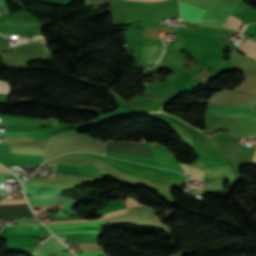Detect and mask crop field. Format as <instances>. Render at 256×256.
<instances>
[{"label": "crop field", "instance_id": "obj_22", "mask_svg": "<svg viewBox=\"0 0 256 256\" xmlns=\"http://www.w3.org/2000/svg\"><path fill=\"white\" fill-rule=\"evenodd\" d=\"M142 1H158V0H142Z\"/></svg>", "mask_w": 256, "mask_h": 256}, {"label": "crop field", "instance_id": "obj_12", "mask_svg": "<svg viewBox=\"0 0 256 256\" xmlns=\"http://www.w3.org/2000/svg\"><path fill=\"white\" fill-rule=\"evenodd\" d=\"M30 206H40V205H54L56 204L55 198L45 197V198H32L27 199Z\"/></svg>", "mask_w": 256, "mask_h": 256}, {"label": "crop field", "instance_id": "obj_11", "mask_svg": "<svg viewBox=\"0 0 256 256\" xmlns=\"http://www.w3.org/2000/svg\"><path fill=\"white\" fill-rule=\"evenodd\" d=\"M54 172L81 177L80 168L75 166L56 164Z\"/></svg>", "mask_w": 256, "mask_h": 256}, {"label": "crop field", "instance_id": "obj_3", "mask_svg": "<svg viewBox=\"0 0 256 256\" xmlns=\"http://www.w3.org/2000/svg\"><path fill=\"white\" fill-rule=\"evenodd\" d=\"M145 38V46L143 49L140 67H153L156 65L158 59L163 52L162 39Z\"/></svg>", "mask_w": 256, "mask_h": 256}, {"label": "crop field", "instance_id": "obj_13", "mask_svg": "<svg viewBox=\"0 0 256 256\" xmlns=\"http://www.w3.org/2000/svg\"><path fill=\"white\" fill-rule=\"evenodd\" d=\"M244 52L256 57V42L246 39L239 46Z\"/></svg>", "mask_w": 256, "mask_h": 256}, {"label": "crop field", "instance_id": "obj_16", "mask_svg": "<svg viewBox=\"0 0 256 256\" xmlns=\"http://www.w3.org/2000/svg\"><path fill=\"white\" fill-rule=\"evenodd\" d=\"M35 131L32 132H0V137H6V136H27L31 133H33Z\"/></svg>", "mask_w": 256, "mask_h": 256}, {"label": "crop field", "instance_id": "obj_8", "mask_svg": "<svg viewBox=\"0 0 256 256\" xmlns=\"http://www.w3.org/2000/svg\"><path fill=\"white\" fill-rule=\"evenodd\" d=\"M119 163L124 164V165L129 166V167H132V168L153 171V172L161 173V174H164V175H167V176L188 178V177H186V176H184L180 173L166 171V170L157 169V168H153V167H148V166H144V165H140V164H136V163H132V162H128V161L120 160Z\"/></svg>", "mask_w": 256, "mask_h": 256}, {"label": "crop field", "instance_id": "obj_15", "mask_svg": "<svg viewBox=\"0 0 256 256\" xmlns=\"http://www.w3.org/2000/svg\"><path fill=\"white\" fill-rule=\"evenodd\" d=\"M78 246L83 253L102 249V247L99 246L97 243H79Z\"/></svg>", "mask_w": 256, "mask_h": 256}, {"label": "crop field", "instance_id": "obj_2", "mask_svg": "<svg viewBox=\"0 0 256 256\" xmlns=\"http://www.w3.org/2000/svg\"><path fill=\"white\" fill-rule=\"evenodd\" d=\"M147 145L155 159L128 156V155L109 154V153H105V154L109 156L129 159V160H133V161H137V162H141L149 165H155L158 167L172 169V170H176L178 172L183 173L181 166L174 161L172 154L168 150H166L164 147L154 150L151 147L150 143H147Z\"/></svg>", "mask_w": 256, "mask_h": 256}, {"label": "crop field", "instance_id": "obj_18", "mask_svg": "<svg viewBox=\"0 0 256 256\" xmlns=\"http://www.w3.org/2000/svg\"><path fill=\"white\" fill-rule=\"evenodd\" d=\"M0 92H2V93H9L10 92V88L8 87L6 82H1L0 81Z\"/></svg>", "mask_w": 256, "mask_h": 256}, {"label": "crop field", "instance_id": "obj_6", "mask_svg": "<svg viewBox=\"0 0 256 256\" xmlns=\"http://www.w3.org/2000/svg\"><path fill=\"white\" fill-rule=\"evenodd\" d=\"M180 5L182 18L185 20L199 22L205 12V10L181 2Z\"/></svg>", "mask_w": 256, "mask_h": 256}, {"label": "crop field", "instance_id": "obj_14", "mask_svg": "<svg viewBox=\"0 0 256 256\" xmlns=\"http://www.w3.org/2000/svg\"><path fill=\"white\" fill-rule=\"evenodd\" d=\"M104 220L93 222V223H73V224H60V225H49V228H61V227H76V226H96L100 224H105ZM47 227V228H48Z\"/></svg>", "mask_w": 256, "mask_h": 256}, {"label": "crop field", "instance_id": "obj_5", "mask_svg": "<svg viewBox=\"0 0 256 256\" xmlns=\"http://www.w3.org/2000/svg\"><path fill=\"white\" fill-rule=\"evenodd\" d=\"M43 156H25L0 153V163L3 165L23 166L26 164L38 165L42 162Z\"/></svg>", "mask_w": 256, "mask_h": 256}, {"label": "crop field", "instance_id": "obj_19", "mask_svg": "<svg viewBox=\"0 0 256 256\" xmlns=\"http://www.w3.org/2000/svg\"><path fill=\"white\" fill-rule=\"evenodd\" d=\"M103 253L104 252L101 250V251L92 252V253L78 254L77 256H97V255H101Z\"/></svg>", "mask_w": 256, "mask_h": 256}, {"label": "crop field", "instance_id": "obj_9", "mask_svg": "<svg viewBox=\"0 0 256 256\" xmlns=\"http://www.w3.org/2000/svg\"><path fill=\"white\" fill-rule=\"evenodd\" d=\"M8 233H48L49 231L43 225L34 226H7Z\"/></svg>", "mask_w": 256, "mask_h": 256}, {"label": "crop field", "instance_id": "obj_17", "mask_svg": "<svg viewBox=\"0 0 256 256\" xmlns=\"http://www.w3.org/2000/svg\"><path fill=\"white\" fill-rule=\"evenodd\" d=\"M71 233H104L103 231H96V230H82V231H63V232H56L55 235L59 234H71Z\"/></svg>", "mask_w": 256, "mask_h": 256}, {"label": "crop field", "instance_id": "obj_10", "mask_svg": "<svg viewBox=\"0 0 256 256\" xmlns=\"http://www.w3.org/2000/svg\"><path fill=\"white\" fill-rule=\"evenodd\" d=\"M45 147H29L10 145L11 153L43 155Z\"/></svg>", "mask_w": 256, "mask_h": 256}, {"label": "crop field", "instance_id": "obj_20", "mask_svg": "<svg viewBox=\"0 0 256 256\" xmlns=\"http://www.w3.org/2000/svg\"><path fill=\"white\" fill-rule=\"evenodd\" d=\"M63 177L68 178V179H72V180H82V179H79V178H74V177L65 176V175H63Z\"/></svg>", "mask_w": 256, "mask_h": 256}, {"label": "crop field", "instance_id": "obj_7", "mask_svg": "<svg viewBox=\"0 0 256 256\" xmlns=\"http://www.w3.org/2000/svg\"><path fill=\"white\" fill-rule=\"evenodd\" d=\"M63 246L61 242H59L54 236L50 239L46 240L44 243H42L40 246H38L31 256H45L50 251Z\"/></svg>", "mask_w": 256, "mask_h": 256}, {"label": "crop field", "instance_id": "obj_1", "mask_svg": "<svg viewBox=\"0 0 256 256\" xmlns=\"http://www.w3.org/2000/svg\"><path fill=\"white\" fill-rule=\"evenodd\" d=\"M239 2L241 0H221L206 11L201 22L225 25L231 10ZM241 22V20L230 15L225 26L237 30Z\"/></svg>", "mask_w": 256, "mask_h": 256}, {"label": "crop field", "instance_id": "obj_4", "mask_svg": "<svg viewBox=\"0 0 256 256\" xmlns=\"http://www.w3.org/2000/svg\"><path fill=\"white\" fill-rule=\"evenodd\" d=\"M206 114L239 116L256 121V113L251 108L208 106Z\"/></svg>", "mask_w": 256, "mask_h": 256}, {"label": "crop field", "instance_id": "obj_21", "mask_svg": "<svg viewBox=\"0 0 256 256\" xmlns=\"http://www.w3.org/2000/svg\"><path fill=\"white\" fill-rule=\"evenodd\" d=\"M180 164H181V163H180ZM181 165H182V167H183V169H184L185 173L189 174V172H188V170H187L186 166H185L184 164H181Z\"/></svg>", "mask_w": 256, "mask_h": 256}]
</instances>
